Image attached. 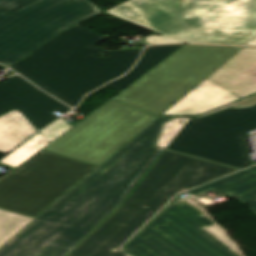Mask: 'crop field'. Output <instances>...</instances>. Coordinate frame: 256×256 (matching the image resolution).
<instances>
[{
    "instance_id": "crop-field-15",
    "label": "crop field",
    "mask_w": 256,
    "mask_h": 256,
    "mask_svg": "<svg viewBox=\"0 0 256 256\" xmlns=\"http://www.w3.org/2000/svg\"><path fill=\"white\" fill-rule=\"evenodd\" d=\"M215 188L233 196L256 188V173L247 170L209 183L195 190L188 192L195 196L207 190Z\"/></svg>"
},
{
    "instance_id": "crop-field-17",
    "label": "crop field",
    "mask_w": 256,
    "mask_h": 256,
    "mask_svg": "<svg viewBox=\"0 0 256 256\" xmlns=\"http://www.w3.org/2000/svg\"><path fill=\"white\" fill-rule=\"evenodd\" d=\"M48 143L50 142L39 133L3 158L0 162L15 168Z\"/></svg>"
},
{
    "instance_id": "crop-field-21",
    "label": "crop field",
    "mask_w": 256,
    "mask_h": 256,
    "mask_svg": "<svg viewBox=\"0 0 256 256\" xmlns=\"http://www.w3.org/2000/svg\"><path fill=\"white\" fill-rule=\"evenodd\" d=\"M66 123L67 122L61 118L40 133L51 142L72 127Z\"/></svg>"
},
{
    "instance_id": "crop-field-29",
    "label": "crop field",
    "mask_w": 256,
    "mask_h": 256,
    "mask_svg": "<svg viewBox=\"0 0 256 256\" xmlns=\"http://www.w3.org/2000/svg\"><path fill=\"white\" fill-rule=\"evenodd\" d=\"M117 248H118V247H114V248H112V249H113V250H118ZM118 251H120V250H118Z\"/></svg>"
},
{
    "instance_id": "crop-field-5",
    "label": "crop field",
    "mask_w": 256,
    "mask_h": 256,
    "mask_svg": "<svg viewBox=\"0 0 256 256\" xmlns=\"http://www.w3.org/2000/svg\"><path fill=\"white\" fill-rule=\"evenodd\" d=\"M99 13L88 0H0V62L9 66Z\"/></svg>"
},
{
    "instance_id": "crop-field-4",
    "label": "crop field",
    "mask_w": 256,
    "mask_h": 256,
    "mask_svg": "<svg viewBox=\"0 0 256 256\" xmlns=\"http://www.w3.org/2000/svg\"><path fill=\"white\" fill-rule=\"evenodd\" d=\"M236 170L164 151L123 205L68 256H127L111 247L120 246L175 194Z\"/></svg>"
},
{
    "instance_id": "crop-field-2",
    "label": "crop field",
    "mask_w": 256,
    "mask_h": 256,
    "mask_svg": "<svg viewBox=\"0 0 256 256\" xmlns=\"http://www.w3.org/2000/svg\"><path fill=\"white\" fill-rule=\"evenodd\" d=\"M104 14L162 35L148 44L243 45L256 35V0H130Z\"/></svg>"
},
{
    "instance_id": "crop-field-26",
    "label": "crop field",
    "mask_w": 256,
    "mask_h": 256,
    "mask_svg": "<svg viewBox=\"0 0 256 256\" xmlns=\"http://www.w3.org/2000/svg\"><path fill=\"white\" fill-rule=\"evenodd\" d=\"M0 98L4 99L5 101L9 102L10 104L18 100L13 95L5 91L4 89L0 88Z\"/></svg>"
},
{
    "instance_id": "crop-field-9",
    "label": "crop field",
    "mask_w": 256,
    "mask_h": 256,
    "mask_svg": "<svg viewBox=\"0 0 256 256\" xmlns=\"http://www.w3.org/2000/svg\"><path fill=\"white\" fill-rule=\"evenodd\" d=\"M158 117L111 99L43 149L99 166Z\"/></svg>"
},
{
    "instance_id": "crop-field-10",
    "label": "crop field",
    "mask_w": 256,
    "mask_h": 256,
    "mask_svg": "<svg viewBox=\"0 0 256 256\" xmlns=\"http://www.w3.org/2000/svg\"><path fill=\"white\" fill-rule=\"evenodd\" d=\"M244 119H256V106L189 120L167 149L246 168L251 164L234 122Z\"/></svg>"
},
{
    "instance_id": "crop-field-11",
    "label": "crop field",
    "mask_w": 256,
    "mask_h": 256,
    "mask_svg": "<svg viewBox=\"0 0 256 256\" xmlns=\"http://www.w3.org/2000/svg\"><path fill=\"white\" fill-rule=\"evenodd\" d=\"M0 87L20 99L11 105L0 99V116L17 108L38 130L59 117L52 112L63 114L71 109L48 94L38 91L39 89L18 75L1 83Z\"/></svg>"
},
{
    "instance_id": "crop-field-14",
    "label": "crop field",
    "mask_w": 256,
    "mask_h": 256,
    "mask_svg": "<svg viewBox=\"0 0 256 256\" xmlns=\"http://www.w3.org/2000/svg\"><path fill=\"white\" fill-rule=\"evenodd\" d=\"M37 131L17 109L0 117V151H10Z\"/></svg>"
},
{
    "instance_id": "crop-field-1",
    "label": "crop field",
    "mask_w": 256,
    "mask_h": 256,
    "mask_svg": "<svg viewBox=\"0 0 256 256\" xmlns=\"http://www.w3.org/2000/svg\"><path fill=\"white\" fill-rule=\"evenodd\" d=\"M159 117L0 247V256H66L127 197L163 150Z\"/></svg>"
},
{
    "instance_id": "crop-field-8",
    "label": "crop field",
    "mask_w": 256,
    "mask_h": 256,
    "mask_svg": "<svg viewBox=\"0 0 256 256\" xmlns=\"http://www.w3.org/2000/svg\"><path fill=\"white\" fill-rule=\"evenodd\" d=\"M213 225L177 196L124 249L133 256H238L203 230Z\"/></svg>"
},
{
    "instance_id": "crop-field-23",
    "label": "crop field",
    "mask_w": 256,
    "mask_h": 256,
    "mask_svg": "<svg viewBox=\"0 0 256 256\" xmlns=\"http://www.w3.org/2000/svg\"><path fill=\"white\" fill-rule=\"evenodd\" d=\"M235 122L237 124L238 130L240 132L241 138H242L244 146H245L243 137L248 136V131L256 128V120H244V121H235ZM245 148H246V146H245ZM246 151H247V149H246ZM247 154H248V152H247Z\"/></svg>"
},
{
    "instance_id": "crop-field-6",
    "label": "crop field",
    "mask_w": 256,
    "mask_h": 256,
    "mask_svg": "<svg viewBox=\"0 0 256 256\" xmlns=\"http://www.w3.org/2000/svg\"><path fill=\"white\" fill-rule=\"evenodd\" d=\"M239 48L183 46L113 99L158 115Z\"/></svg>"
},
{
    "instance_id": "crop-field-28",
    "label": "crop field",
    "mask_w": 256,
    "mask_h": 256,
    "mask_svg": "<svg viewBox=\"0 0 256 256\" xmlns=\"http://www.w3.org/2000/svg\"><path fill=\"white\" fill-rule=\"evenodd\" d=\"M249 169H252V170H255L256 171V166L252 167V168H249Z\"/></svg>"
},
{
    "instance_id": "crop-field-16",
    "label": "crop field",
    "mask_w": 256,
    "mask_h": 256,
    "mask_svg": "<svg viewBox=\"0 0 256 256\" xmlns=\"http://www.w3.org/2000/svg\"><path fill=\"white\" fill-rule=\"evenodd\" d=\"M182 46L183 45H165L146 48L138 64L129 73L142 76Z\"/></svg>"
},
{
    "instance_id": "crop-field-24",
    "label": "crop field",
    "mask_w": 256,
    "mask_h": 256,
    "mask_svg": "<svg viewBox=\"0 0 256 256\" xmlns=\"http://www.w3.org/2000/svg\"><path fill=\"white\" fill-rule=\"evenodd\" d=\"M256 212V189L236 196Z\"/></svg>"
},
{
    "instance_id": "crop-field-27",
    "label": "crop field",
    "mask_w": 256,
    "mask_h": 256,
    "mask_svg": "<svg viewBox=\"0 0 256 256\" xmlns=\"http://www.w3.org/2000/svg\"><path fill=\"white\" fill-rule=\"evenodd\" d=\"M247 45L256 46V37L254 39H252Z\"/></svg>"
},
{
    "instance_id": "crop-field-25",
    "label": "crop field",
    "mask_w": 256,
    "mask_h": 256,
    "mask_svg": "<svg viewBox=\"0 0 256 256\" xmlns=\"http://www.w3.org/2000/svg\"><path fill=\"white\" fill-rule=\"evenodd\" d=\"M256 103V95L255 96H252L250 98H247V99H244L242 101H239V102H236V103H233V104H230L228 106H225V107H234V108H242V107H248V106H252ZM225 107H222V108H219L217 110H214V111H211L209 113H206L204 115H207V114H210V113H213V112H216L218 110H221ZM204 115H201V116H204ZM200 117V116H199Z\"/></svg>"
},
{
    "instance_id": "crop-field-12",
    "label": "crop field",
    "mask_w": 256,
    "mask_h": 256,
    "mask_svg": "<svg viewBox=\"0 0 256 256\" xmlns=\"http://www.w3.org/2000/svg\"><path fill=\"white\" fill-rule=\"evenodd\" d=\"M206 79L241 98L256 93V49L243 48Z\"/></svg>"
},
{
    "instance_id": "crop-field-3",
    "label": "crop field",
    "mask_w": 256,
    "mask_h": 256,
    "mask_svg": "<svg viewBox=\"0 0 256 256\" xmlns=\"http://www.w3.org/2000/svg\"><path fill=\"white\" fill-rule=\"evenodd\" d=\"M108 38L77 25L9 67L76 107L84 94L125 73L143 50L106 51L95 46ZM100 51L109 56L95 55Z\"/></svg>"
},
{
    "instance_id": "crop-field-7",
    "label": "crop field",
    "mask_w": 256,
    "mask_h": 256,
    "mask_svg": "<svg viewBox=\"0 0 256 256\" xmlns=\"http://www.w3.org/2000/svg\"><path fill=\"white\" fill-rule=\"evenodd\" d=\"M95 168L41 149L0 179V207L35 218Z\"/></svg>"
},
{
    "instance_id": "crop-field-13",
    "label": "crop field",
    "mask_w": 256,
    "mask_h": 256,
    "mask_svg": "<svg viewBox=\"0 0 256 256\" xmlns=\"http://www.w3.org/2000/svg\"><path fill=\"white\" fill-rule=\"evenodd\" d=\"M197 86L161 116L196 115L240 99L206 79Z\"/></svg>"
},
{
    "instance_id": "crop-field-20",
    "label": "crop field",
    "mask_w": 256,
    "mask_h": 256,
    "mask_svg": "<svg viewBox=\"0 0 256 256\" xmlns=\"http://www.w3.org/2000/svg\"><path fill=\"white\" fill-rule=\"evenodd\" d=\"M187 121L188 119L185 118H177L165 123V126L157 140L158 147L166 148L172 138L177 134V132L184 126Z\"/></svg>"
},
{
    "instance_id": "crop-field-22",
    "label": "crop field",
    "mask_w": 256,
    "mask_h": 256,
    "mask_svg": "<svg viewBox=\"0 0 256 256\" xmlns=\"http://www.w3.org/2000/svg\"><path fill=\"white\" fill-rule=\"evenodd\" d=\"M138 78H139V76L127 74V75L123 76L121 79L115 80V81L105 85L104 87H110V88H114L117 90H121V89L127 87L129 84H131L133 81H135Z\"/></svg>"
},
{
    "instance_id": "crop-field-19",
    "label": "crop field",
    "mask_w": 256,
    "mask_h": 256,
    "mask_svg": "<svg viewBox=\"0 0 256 256\" xmlns=\"http://www.w3.org/2000/svg\"><path fill=\"white\" fill-rule=\"evenodd\" d=\"M188 204H190L192 207L197 209L199 212H201L203 215L208 217L210 220H212L208 214L197 204H195L191 199L185 200ZM213 221V220H212ZM214 222V221H213ZM215 223V222H214ZM208 233L213 235L215 238H217L219 241H221L223 244L228 246L230 249H232L234 252H236L240 256H245L242 251L231 241V239L219 228L218 225H215L213 227L205 229Z\"/></svg>"
},
{
    "instance_id": "crop-field-18",
    "label": "crop field",
    "mask_w": 256,
    "mask_h": 256,
    "mask_svg": "<svg viewBox=\"0 0 256 256\" xmlns=\"http://www.w3.org/2000/svg\"><path fill=\"white\" fill-rule=\"evenodd\" d=\"M32 219L0 208V246Z\"/></svg>"
}]
</instances>
